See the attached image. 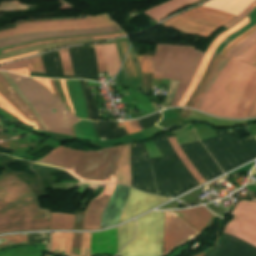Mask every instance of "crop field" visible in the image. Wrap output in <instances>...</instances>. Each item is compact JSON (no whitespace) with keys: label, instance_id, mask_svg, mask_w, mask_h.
<instances>
[{"label":"crop field","instance_id":"8a807250","mask_svg":"<svg viewBox=\"0 0 256 256\" xmlns=\"http://www.w3.org/2000/svg\"><path fill=\"white\" fill-rule=\"evenodd\" d=\"M235 60L256 67V41ZM235 60H221L193 108L220 117L247 116L256 96V68Z\"/></svg>","mask_w":256,"mask_h":256},{"label":"crop field","instance_id":"ac0d7876","mask_svg":"<svg viewBox=\"0 0 256 256\" xmlns=\"http://www.w3.org/2000/svg\"><path fill=\"white\" fill-rule=\"evenodd\" d=\"M50 211L41 210L24 182L12 175L0 177V233L49 229Z\"/></svg>","mask_w":256,"mask_h":256},{"label":"crop field","instance_id":"34b2d1b8","mask_svg":"<svg viewBox=\"0 0 256 256\" xmlns=\"http://www.w3.org/2000/svg\"><path fill=\"white\" fill-rule=\"evenodd\" d=\"M121 148L116 146L95 152H82L59 146L35 162L60 167L82 181L115 183Z\"/></svg>","mask_w":256,"mask_h":256},{"label":"crop field","instance_id":"412701ff","mask_svg":"<svg viewBox=\"0 0 256 256\" xmlns=\"http://www.w3.org/2000/svg\"><path fill=\"white\" fill-rule=\"evenodd\" d=\"M194 49L188 46L157 45L154 57L151 56L153 77L181 80L172 106L179 102L204 55ZM136 58L141 71L151 73L150 56Z\"/></svg>","mask_w":256,"mask_h":256},{"label":"crop field","instance_id":"f4fd0767","mask_svg":"<svg viewBox=\"0 0 256 256\" xmlns=\"http://www.w3.org/2000/svg\"><path fill=\"white\" fill-rule=\"evenodd\" d=\"M115 25L109 15H100L97 17H85L80 20L69 21H45V22H28L18 24L13 29L0 32V38L22 33L41 32V31H53V30H68V29H82L102 26ZM121 31L118 26L83 29V30H69V31H56V32H41L24 34L20 36L8 37L0 39V48L23 42H29L34 40H40L52 37L72 36V35H84L94 33L105 32H117Z\"/></svg>","mask_w":256,"mask_h":256},{"label":"crop field","instance_id":"dd49c442","mask_svg":"<svg viewBox=\"0 0 256 256\" xmlns=\"http://www.w3.org/2000/svg\"><path fill=\"white\" fill-rule=\"evenodd\" d=\"M254 1L255 0H211L203 6L238 15ZM203 6H199L168 19L160 25L166 28L172 26L184 33L202 35L208 38L215 30L236 17V15Z\"/></svg>","mask_w":256,"mask_h":256},{"label":"crop field","instance_id":"e52e79f7","mask_svg":"<svg viewBox=\"0 0 256 256\" xmlns=\"http://www.w3.org/2000/svg\"><path fill=\"white\" fill-rule=\"evenodd\" d=\"M8 74L41 116L47 129L68 126L80 120L36 81L16 74Z\"/></svg>","mask_w":256,"mask_h":256},{"label":"crop field","instance_id":"d8731c3e","mask_svg":"<svg viewBox=\"0 0 256 256\" xmlns=\"http://www.w3.org/2000/svg\"><path fill=\"white\" fill-rule=\"evenodd\" d=\"M164 212H151L136 220L135 238L119 256H162Z\"/></svg>","mask_w":256,"mask_h":256},{"label":"crop field","instance_id":"5a996713","mask_svg":"<svg viewBox=\"0 0 256 256\" xmlns=\"http://www.w3.org/2000/svg\"><path fill=\"white\" fill-rule=\"evenodd\" d=\"M231 215L234 219L226 225L224 232L256 246V202H238Z\"/></svg>","mask_w":256,"mask_h":256},{"label":"crop field","instance_id":"3316defc","mask_svg":"<svg viewBox=\"0 0 256 256\" xmlns=\"http://www.w3.org/2000/svg\"><path fill=\"white\" fill-rule=\"evenodd\" d=\"M199 234L179 216L172 212H165L163 256L170 253L175 247L194 239Z\"/></svg>","mask_w":256,"mask_h":256},{"label":"crop field","instance_id":"28ad6ade","mask_svg":"<svg viewBox=\"0 0 256 256\" xmlns=\"http://www.w3.org/2000/svg\"><path fill=\"white\" fill-rule=\"evenodd\" d=\"M169 199L131 189L127 204L121 215V222L154 208Z\"/></svg>","mask_w":256,"mask_h":256},{"label":"crop field","instance_id":"d1516ede","mask_svg":"<svg viewBox=\"0 0 256 256\" xmlns=\"http://www.w3.org/2000/svg\"><path fill=\"white\" fill-rule=\"evenodd\" d=\"M247 22H249L248 18L246 17L244 20H242L239 24L235 25L234 27H232L231 29L227 30L226 32L220 34L210 45L209 49L207 50V52L205 53L196 73L195 76L192 80V82L190 83V85L188 86V88L186 89L184 95L182 96L180 102L178 103L177 106H184V104L186 103L187 99L189 98V96L192 94V92L195 90L200 78L202 77L208 62L214 52V50L217 48V46L231 33H233L234 31H236L237 29H239L240 27H242L244 24H246ZM248 24V23H247Z\"/></svg>","mask_w":256,"mask_h":256},{"label":"crop field","instance_id":"22f410ed","mask_svg":"<svg viewBox=\"0 0 256 256\" xmlns=\"http://www.w3.org/2000/svg\"><path fill=\"white\" fill-rule=\"evenodd\" d=\"M115 185H107L104 192L90 201L84 217L83 230H94L99 228L100 217L113 192Z\"/></svg>","mask_w":256,"mask_h":256},{"label":"crop field","instance_id":"cbeb9de0","mask_svg":"<svg viewBox=\"0 0 256 256\" xmlns=\"http://www.w3.org/2000/svg\"><path fill=\"white\" fill-rule=\"evenodd\" d=\"M90 233H83L81 256H90ZM73 233H53L51 252L57 255L74 256L70 254Z\"/></svg>","mask_w":256,"mask_h":256},{"label":"crop field","instance_id":"5142ce71","mask_svg":"<svg viewBox=\"0 0 256 256\" xmlns=\"http://www.w3.org/2000/svg\"><path fill=\"white\" fill-rule=\"evenodd\" d=\"M100 254L117 255V227L92 233L91 256Z\"/></svg>","mask_w":256,"mask_h":256},{"label":"crop field","instance_id":"d9b57169","mask_svg":"<svg viewBox=\"0 0 256 256\" xmlns=\"http://www.w3.org/2000/svg\"><path fill=\"white\" fill-rule=\"evenodd\" d=\"M175 213L200 233L211 216L204 207L193 208L185 211H175Z\"/></svg>","mask_w":256,"mask_h":256},{"label":"crop field","instance_id":"733c2abd","mask_svg":"<svg viewBox=\"0 0 256 256\" xmlns=\"http://www.w3.org/2000/svg\"><path fill=\"white\" fill-rule=\"evenodd\" d=\"M50 233L27 234V244L49 243ZM12 244H26V234L0 237V248ZM49 250V244H46Z\"/></svg>","mask_w":256,"mask_h":256},{"label":"crop field","instance_id":"4a817a6b","mask_svg":"<svg viewBox=\"0 0 256 256\" xmlns=\"http://www.w3.org/2000/svg\"><path fill=\"white\" fill-rule=\"evenodd\" d=\"M195 1L197 0H171L163 5L145 12V14L159 22L162 18L192 4Z\"/></svg>","mask_w":256,"mask_h":256},{"label":"crop field","instance_id":"bc2a9ffb","mask_svg":"<svg viewBox=\"0 0 256 256\" xmlns=\"http://www.w3.org/2000/svg\"><path fill=\"white\" fill-rule=\"evenodd\" d=\"M116 183L126 184L131 186V173H130V144L124 145L122 148Z\"/></svg>","mask_w":256,"mask_h":256},{"label":"crop field","instance_id":"214f88e0","mask_svg":"<svg viewBox=\"0 0 256 256\" xmlns=\"http://www.w3.org/2000/svg\"><path fill=\"white\" fill-rule=\"evenodd\" d=\"M102 47L108 69V76L113 77L121 65L116 44H106L102 45Z\"/></svg>","mask_w":256,"mask_h":256},{"label":"crop field","instance_id":"92a150f3","mask_svg":"<svg viewBox=\"0 0 256 256\" xmlns=\"http://www.w3.org/2000/svg\"><path fill=\"white\" fill-rule=\"evenodd\" d=\"M134 220L118 227V252L134 236Z\"/></svg>","mask_w":256,"mask_h":256},{"label":"crop field","instance_id":"dafd665d","mask_svg":"<svg viewBox=\"0 0 256 256\" xmlns=\"http://www.w3.org/2000/svg\"><path fill=\"white\" fill-rule=\"evenodd\" d=\"M74 215L71 214H54L51 216V230L55 229H72Z\"/></svg>","mask_w":256,"mask_h":256},{"label":"crop field","instance_id":"00972430","mask_svg":"<svg viewBox=\"0 0 256 256\" xmlns=\"http://www.w3.org/2000/svg\"><path fill=\"white\" fill-rule=\"evenodd\" d=\"M0 81L6 87L10 94L7 96L23 111L25 112L32 120H35L38 127L41 129L38 119L36 116L28 109V107L23 103V101L18 97V95L12 90V88L7 84V82L0 75Z\"/></svg>","mask_w":256,"mask_h":256},{"label":"crop field","instance_id":"a9b5d70f","mask_svg":"<svg viewBox=\"0 0 256 256\" xmlns=\"http://www.w3.org/2000/svg\"><path fill=\"white\" fill-rule=\"evenodd\" d=\"M173 149L175 150L176 154L178 155V157L181 159V161L184 163V165L187 167V169L193 174V176L195 177V179L200 183H204L206 182L201 175L194 169V167L191 165V163L188 161V159L186 158V156L184 155V153L182 152V150L179 148L175 137H171L168 138Z\"/></svg>","mask_w":256,"mask_h":256},{"label":"crop field","instance_id":"4177f3b9","mask_svg":"<svg viewBox=\"0 0 256 256\" xmlns=\"http://www.w3.org/2000/svg\"><path fill=\"white\" fill-rule=\"evenodd\" d=\"M1 75L5 78V80L8 82V84L13 88V90L19 95V97L25 102V104L30 108V110L37 116L39 119L43 129H46L40 116L37 114V112L34 110V108L31 106L29 101L26 99V97L23 95V93L20 91V89L16 86V84L11 80V78L6 74V72H0Z\"/></svg>","mask_w":256,"mask_h":256},{"label":"crop field","instance_id":"730fd06b","mask_svg":"<svg viewBox=\"0 0 256 256\" xmlns=\"http://www.w3.org/2000/svg\"><path fill=\"white\" fill-rule=\"evenodd\" d=\"M255 40H256V31L252 35H250L248 38H246L244 41H242L240 44H238L236 47H234L226 56L234 59L242 51H244L249 45H251Z\"/></svg>","mask_w":256,"mask_h":256},{"label":"crop field","instance_id":"eef30255","mask_svg":"<svg viewBox=\"0 0 256 256\" xmlns=\"http://www.w3.org/2000/svg\"><path fill=\"white\" fill-rule=\"evenodd\" d=\"M0 107L9 111L14 116L18 117L26 125L30 126L29 120L24 118L1 94H0Z\"/></svg>","mask_w":256,"mask_h":256},{"label":"crop field","instance_id":"ae1a2a85","mask_svg":"<svg viewBox=\"0 0 256 256\" xmlns=\"http://www.w3.org/2000/svg\"><path fill=\"white\" fill-rule=\"evenodd\" d=\"M59 54H60L64 74L65 75H74L72 66H71V62H70V58H69V54H68V50L67 49L59 50Z\"/></svg>","mask_w":256,"mask_h":256},{"label":"crop field","instance_id":"d3111659","mask_svg":"<svg viewBox=\"0 0 256 256\" xmlns=\"http://www.w3.org/2000/svg\"><path fill=\"white\" fill-rule=\"evenodd\" d=\"M253 27V26H252ZM256 30V25L251 28L250 30L244 32L241 36L235 38L233 41H231L220 53V55L227 54L234 46H236L238 43H240L242 40H244L246 37H248L250 34H252Z\"/></svg>","mask_w":256,"mask_h":256},{"label":"crop field","instance_id":"750c4746","mask_svg":"<svg viewBox=\"0 0 256 256\" xmlns=\"http://www.w3.org/2000/svg\"><path fill=\"white\" fill-rule=\"evenodd\" d=\"M24 67H28L29 71L34 72L28 58L25 60L7 64L4 66H0V70H8V69H16V68H24Z\"/></svg>","mask_w":256,"mask_h":256},{"label":"crop field","instance_id":"bd1437ed","mask_svg":"<svg viewBox=\"0 0 256 256\" xmlns=\"http://www.w3.org/2000/svg\"><path fill=\"white\" fill-rule=\"evenodd\" d=\"M94 48L96 53L98 72L107 71L101 45L94 46Z\"/></svg>","mask_w":256,"mask_h":256},{"label":"crop field","instance_id":"1d83c4d3","mask_svg":"<svg viewBox=\"0 0 256 256\" xmlns=\"http://www.w3.org/2000/svg\"><path fill=\"white\" fill-rule=\"evenodd\" d=\"M123 34H124V33L111 34V35H103V36H93V39L110 38V37H115V36H119V35H123ZM83 38H91V37H83ZM74 39H78V38H74ZM65 40H71V39H65ZM55 41H63V40L45 41V42H41V43H35V44L24 45V46L16 47V48L9 49V50H6V51H2L1 53L7 52V51H10V50H14V49H17V48H21V47L32 46V45H38V44H43V43H48V42H55Z\"/></svg>","mask_w":256,"mask_h":256},{"label":"crop field","instance_id":"120bbe31","mask_svg":"<svg viewBox=\"0 0 256 256\" xmlns=\"http://www.w3.org/2000/svg\"><path fill=\"white\" fill-rule=\"evenodd\" d=\"M255 7H256V1L252 5H250L245 11H243L237 18L233 19L231 22L224 25L223 27H225L227 29L230 28L232 25L237 23L239 20L246 17Z\"/></svg>","mask_w":256,"mask_h":256},{"label":"crop field","instance_id":"d32e631a","mask_svg":"<svg viewBox=\"0 0 256 256\" xmlns=\"http://www.w3.org/2000/svg\"><path fill=\"white\" fill-rule=\"evenodd\" d=\"M122 123H123L128 134L141 131V128H140L137 120L129 121V122H122Z\"/></svg>","mask_w":256,"mask_h":256},{"label":"crop field","instance_id":"5866460e","mask_svg":"<svg viewBox=\"0 0 256 256\" xmlns=\"http://www.w3.org/2000/svg\"><path fill=\"white\" fill-rule=\"evenodd\" d=\"M125 64H126V67H127L128 73H129V77L130 78H138L131 55H130V52L127 55Z\"/></svg>","mask_w":256,"mask_h":256},{"label":"crop field","instance_id":"028f5c9d","mask_svg":"<svg viewBox=\"0 0 256 256\" xmlns=\"http://www.w3.org/2000/svg\"><path fill=\"white\" fill-rule=\"evenodd\" d=\"M81 236H82V233H75L72 251H71L72 254H76V255L80 254Z\"/></svg>","mask_w":256,"mask_h":256},{"label":"crop field","instance_id":"e1f06a70","mask_svg":"<svg viewBox=\"0 0 256 256\" xmlns=\"http://www.w3.org/2000/svg\"><path fill=\"white\" fill-rule=\"evenodd\" d=\"M30 61H31V64L33 66V69L35 72H44L43 70V66H42V61H41V57L40 55L39 56H36V57H31L29 58Z\"/></svg>","mask_w":256,"mask_h":256},{"label":"crop field","instance_id":"0bd39190","mask_svg":"<svg viewBox=\"0 0 256 256\" xmlns=\"http://www.w3.org/2000/svg\"><path fill=\"white\" fill-rule=\"evenodd\" d=\"M48 132H53V133H58V134H66V135H71V131L69 127H64V128H56V129H50V130H45ZM72 136V135H71Z\"/></svg>","mask_w":256,"mask_h":256},{"label":"crop field","instance_id":"b80d0937","mask_svg":"<svg viewBox=\"0 0 256 256\" xmlns=\"http://www.w3.org/2000/svg\"><path fill=\"white\" fill-rule=\"evenodd\" d=\"M0 93L12 104L14 105L25 117L30 119L25 113H23L5 94H8L7 90L0 83ZM31 120V119H30Z\"/></svg>","mask_w":256,"mask_h":256},{"label":"crop field","instance_id":"c035e120","mask_svg":"<svg viewBox=\"0 0 256 256\" xmlns=\"http://www.w3.org/2000/svg\"><path fill=\"white\" fill-rule=\"evenodd\" d=\"M33 54H37V51L35 52H31V53H27V54H23V55H19V56H15V57H11V58H7L4 60H0V63H4V62H8V61H12V60H16V59H20V58H24Z\"/></svg>","mask_w":256,"mask_h":256},{"label":"crop field","instance_id":"c21b1889","mask_svg":"<svg viewBox=\"0 0 256 256\" xmlns=\"http://www.w3.org/2000/svg\"><path fill=\"white\" fill-rule=\"evenodd\" d=\"M60 82H61V86H62L63 92H64V94H65V97H66V99H67V102H68V104H69V106H70L72 112L74 113V110H73L71 101H70V99H69L68 92H67V90H66V83H65V80H60Z\"/></svg>","mask_w":256,"mask_h":256},{"label":"crop field","instance_id":"03da06ac","mask_svg":"<svg viewBox=\"0 0 256 256\" xmlns=\"http://www.w3.org/2000/svg\"><path fill=\"white\" fill-rule=\"evenodd\" d=\"M34 80H36L38 83H40L41 85H43L44 87H46L47 89H49L51 92L52 89H51V85H50V81L49 80H45V79H35V78H32ZM53 94V93H52ZM54 95V94H53Z\"/></svg>","mask_w":256,"mask_h":256},{"label":"crop field","instance_id":"b54c1fbb","mask_svg":"<svg viewBox=\"0 0 256 256\" xmlns=\"http://www.w3.org/2000/svg\"><path fill=\"white\" fill-rule=\"evenodd\" d=\"M8 71H11V72H14V73H17V74H21V75H25V76H30L29 73H28L27 68L16 69V70H8Z\"/></svg>","mask_w":256,"mask_h":256},{"label":"crop field","instance_id":"5d738f31","mask_svg":"<svg viewBox=\"0 0 256 256\" xmlns=\"http://www.w3.org/2000/svg\"><path fill=\"white\" fill-rule=\"evenodd\" d=\"M119 43H120L121 51H122L123 58H124V56L126 54V51H127V45H126L125 41H122V42H119Z\"/></svg>","mask_w":256,"mask_h":256},{"label":"crop field","instance_id":"d23c7cc5","mask_svg":"<svg viewBox=\"0 0 256 256\" xmlns=\"http://www.w3.org/2000/svg\"><path fill=\"white\" fill-rule=\"evenodd\" d=\"M255 116H256V100L251 108V111H250L248 117H255Z\"/></svg>","mask_w":256,"mask_h":256},{"label":"crop field","instance_id":"425ffa30","mask_svg":"<svg viewBox=\"0 0 256 256\" xmlns=\"http://www.w3.org/2000/svg\"><path fill=\"white\" fill-rule=\"evenodd\" d=\"M0 126L4 127V122L0 120Z\"/></svg>","mask_w":256,"mask_h":256},{"label":"crop field","instance_id":"25e5ab78","mask_svg":"<svg viewBox=\"0 0 256 256\" xmlns=\"http://www.w3.org/2000/svg\"><path fill=\"white\" fill-rule=\"evenodd\" d=\"M206 252V251H205ZM205 252H203V253H201V254H199V255H197V256H204L205 254Z\"/></svg>","mask_w":256,"mask_h":256},{"label":"crop field","instance_id":"73cf0c24","mask_svg":"<svg viewBox=\"0 0 256 256\" xmlns=\"http://www.w3.org/2000/svg\"><path fill=\"white\" fill-rule=\"evenodd\" d=\"M253 172H256V168L254 169V171Z\"/></svg>","mask_w":256,"mask_h":256},{"label":"crop field","instance_id":"89e229c0","mask_svg":"<svg viewBox=\"0 0 256 256\" xmlns=\"http://www.w3.org/2000/svg\"><path fill=\"white\" fill-rule=\"evenodd\" d=\"M255 137H256V135H255Z\"/></svg>","mask_w":256,"mask_h":256}]
</instances>
